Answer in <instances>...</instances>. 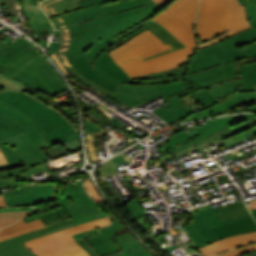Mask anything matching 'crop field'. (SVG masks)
<instances>
[{
    "label": "crop field",
    "instance_id": "1",
    "mask_svg": "<svg viewBox=\"0 0 256 256\" xmlns=\"http://www.w3.org/2000/svg\"><path fill=\"white\" fill-rule=\"evenodd\" d=\"M78 132L55 110L22 93H0V148L9 164L27 169L49 161L45 148L78 139Z\"/></svg>",
    "mask_w": 256,
    "mask_h": 256
},
{
    "label": "crop field",
    "instance_id": "2",
    "mask_svg": "<svg viewBox=\"0 0 256 256\" xmlns=\"http://www.w3.org/2000/svg\"><path fill=\"white\" fill-rule=\"evenodd\" d=\"M161 8L156 4L106 16L75 26L57 29L54 35L63 37L61 43L51 42L49 53L70 50L74 58L82 53L91 64L105 49L117 40L115 36L151 18Z\"/></svg>",
    "mask_w": 256,
    "mask_h": 256
},
{
    "label": "crop field",
    "instance_id": "3",
    "mask_svg": "<svg viewBox=\"0 0 256 256\" xmlns=\"http://www.w3.org/2000/svg\"><path fill=\"white\" fill-rule=\"evenodd\" d=\"M0 73L53 97L69 89L37 49L21 37L0 50Z\"/></svg>",
    "mask_w": 256,
    "mask_h": 256
},
{
    "label": "crop field",
    "instance_id": "4",
    "mask_svg": "<svg viewBox=\"0 0 256 256\" xmlns=\"http://www.w3.org/2000/svg\"><path fill=\"white\" fill-rule=\"evenodd\" d=\"M59 201L72 219L0 242V256H37L22 242L106 216L87 195L81 181L67 184Z\"/></svg>",
    "mask_w": 256,
    "mask_h": 256
},
{
    "label": "crop field",
    "instance_id": "5",
    "mask_svg": "<svg viewBox=\"0 0 256 256\" xmlns=\"http://www.w3.org/2000/svg\"><path fill=\"white\" fill-rule=\"evenodd\" d=\"M250 27L245 7L238 0H202L196 23L198 49Z\"/></svg>",
    "mask_w": 256,
    "mask_h": 256
},
{
    "label": "crop field",
    "instance_id": "6",
    "mask_svg": "<svg viewBox=\"0 0 256 256\" xmlns=\"http://www.w3.org/2000/svg\"><path fill=\"white\" fill-rule=\"evenodd\" d=\"M147 29L151 31L155 36H157L161 41H163L157 34H155L150 28L142 23L141 25L115 37V39L119 40L120 42L101 53L91 64V66L84 58L83 54L78 58L74 59L69 51L66 52L67 59L80 74L86 76L98 85L114 91L115 88L122 82L132 84V81L128 78L127 74L121 68H119L117 64L107 55V53ZM163 42L166 44L165 41ZM49 56L52 58L53 62L60 68V70L66 75L67 71L60 63L57 53L49 54Z\"/></svg>",
    "mask_w": 256,
    "mask_h": 256
},
{
    "label": "crop field",
    "instance_id": "7",
    "mask_svg": "<svg viewBox=\"0 0 256 256\" xmlns=\"http://www.w3.org/2000/svg\"><path fill=\"white\" fill-rule=\"evenodd\" d=\"M154 19L168 29L186 47L143 62L138 58L127 63L120 64L130 77L141 76L178 67L188 59L196 47L195 35L167 12L164 10L161 11L154 17Z\"/></svg>",
    "mask_w": 256,
    "mask_h": 256
},
{
    "label": "crop field",
    "instance_id": "8",
    "mask_svg": "<svg viewBox=\"0 0 256 256\" xmlns=\"http://www.w3.org/2000/svg\"><path fill=\"white\" fill-rule=\"evenodd\" d=\"M249 57H256V28L196 51L186 74Z\"/></svg>",
    "mask_w": 256,
    "mask_h": 256
},
{
    "label": "crop field",
    "instance_id": "9",
    "mask_svg": "<svg viewBox=\"0 0 256 256\" xmlns=\"http://www.w3.org/2000/svg\"><path fill=\"white\" fill-rule=\"evenodd\" d=\"M108 216L24 244L38 256H90L71 235L110 225Z\"/></svg>",
    "mask_w": 256,
    "mask_h": 256
},
{
    "label": "crop field",
    "instance_id": "10",
    "mask_svg": "<svg viewBox=\"0 0 256 256\" xmlns=\"http://www.w3.org/2000/svg\"><path fill=\"white\" fill-rule=\"evenodd\" d=\"M133 84H157L160 93L169 102L152 111L169 125L192 112L191 93L182 79H161L156 81H134ZM182 99V100H180Z\"/></svg>",
    "mask_w": 256,
    "mask_h": 256
},
{
    "label": "crop field",
    "instance_id": "11",
    "mask_svg": "<svg viewBox=\"0 0 256 256\" xmlns=\"http://www.w3.org/2000/svg\"><path fill=\"white\" fill-rule=\"evenodd\" d=\"M61 63L67 69L69 75L74 74L78 79L85 82V84L89 85L90 87H96L101 91L109 94L111 98L126 104L127 106L133 108L153 97L160 95L156 85H131L122 83L120 86L116 88L114 92L100 87L94 82L88 80L87 78L81 76L67 61L65 53L59 54Z\"/></svg>",
    "mask_w": 256,
    "mask_h": 256
},
{
    "label": "crop field",
    "instance_id": "12",
    "mask_svg": "<svg viewBox=\"0 0 256 256\" xmlns=\"http://www.w3.org/2000/svg\"><path fill=\"white\" fill-rule=\"evenodd\" d=\"M239 70L243 79L213 86L210 91H197L196 93H193L194 98L204 105L206 109L207 107L220 102L218 99L227 94L241 91H254L252 86H256V63L241 65L239 66Z\"/></svg>",
    "mask_w": 256,
    "mask_h": 256
},
{
    "label": "crop field",
    "instance_id": "13",
    "mask_svg": "<svg viewBox=\"0 0 256 256\" xmlns=\"http://www.w3.org/2000/svg\"><path fill=\"white\" fill-rule=\"evenodd\" d=\"M168 49H171L168 44H163L147 30L108 54L117 64H119L139 56L144 59Z\"/></svg>",
    "mask_w": 256,
    "mask_h": 256
},
{
    "label": "crop field",
    "instance_id": "14",
    "mask_svg": "<svg viewBox=\"0 0 256 256\" xmlns=\"http://www.w3.org/2000/svg\"><path fill=\"white\" fill-rule=\"evenodd\" d=\"M191 221L192 224H184L183 227L198 248L218 241L212 228L222 223L210 205L193 208Z\"/></svg>",
    "mask_w": 256,
    "mask_h": 256
},
{
    "label": "crop field",
    "instance_id": "15",
    "mask_svg": "<svg viewBox=\"0 0 256 256\" xmlns=\"http://www.w3.org/2000/svg\"><path fill=\"white\" fill-rule=\"evenodd\" d=\"M7 206H30L50 201L55 184H38L2 192Z\"/></svg>",
    "mask_w": 256,
    "mask_h": 256
},
{
    "label": "crop field",
    "instance_id": "16",
    "mask_svg": "<svg viewBox=\"0 0 256 256\" xmlns=\"http://www.w3.org/2000/svg\"><path fill=\"white\" fill-rule=\"evenodd\" d=\"M240 77L236 62H231L187 75V79L193 84L194 91L215 83L224 82Z\"/></svg>",
    "mask_w": 256,
    "mask_h": 256
},
{
    "label": "crop field",
    "instance_id": "17",
    "mask_svg": "<svg viewBox=\"0 0 256 256\" xmlns=\"http://www.w3.org/2000/svg\"><path fill=\"white\" fill-rule=\"evenodd\" d=\"M119 1L120 2L102 6L103 9L101 10L74 16V17L59 21V23L54 24L55 29L71 26L81 22L93 20L95 18L103 17L109 14H114V13L122 12V11L133 9V8H138L144 5L154 3L152 0H132V1L119 0Z\"/></svg>",
    "mask_w": 256,
    "mask_h": 256
},
{
    "label": "crop field",
    "instance_id": "18",
    "mask_svg": "<svg viewBox=\"0 0 256 256\" xmlns=\"http://www.w3.org/2000/svg\"><path fill=\"white\" fill-rule=\"evenodd\" d=\"M199 0H175L166 8L186 28L194 33V22L198 10Z\"/></svg>",
    "mask_w": 256,
    "mask_h": 256
},
{
    "label": "crop field",
    "instance_id": "19",
    "mask_svg": "<svg viewBox=\"0 0 256 256\" xmlns=\"http://www.w3.org/2000/svg\"><path fill=\"white\" fill-rule=\"evenodd\" d=\"M225 98L226 100L222 101L221 103L215 104L207 108L205 111L197 112L196 114H194L193 116H191L185 121L210 117L211 116L210 113L212 112L219 113L231 107L256 101L254 92L233 93L231 95L226 96ZM181 122H184V121H181Z\"/></svg>",
    "mask_w": 256,
    "mask_h": 256
},
{
    "label": "crop field",
    "instance_id": "20",
    "mask_svg": "<svg viewBox=\"0 0 256 256\" xmlns=\"http://www.w3.org/2000/svg\"><path fill=\"white\" fill-rule=\"evenodd\" d=\"M168 143L160 146L162 152L168 157L194 143H197L203 138L195 131H190L188 134L183 130L169 138H166Z\"/></svg>",
    "mask_w": 256,
    "mask_h": 256
},
{
    "label": "crop field",
    "instance_id": "21",
    "mask_svg": "<svg viewBox=\"0 0 256 256\" xmlns=\"http://www.w3.org/2000/svg\"><path fill=\"white\" fill-rule=\"evenodd\" d=\"M256 241V232L239 235L212 243L204 248L199 249L204 256H210L237 246L245 245Z\"/></svg>",
    "mask_w": 256,
    "mask_h": 256
},
{
    "label": "crop field",
    "instance_id": "22",
    "mask_svg": "<svg viewBox=\"0 0 256 256\" xmlns=\"http://www.w3.org/2000/svg\"><path fill=\"white\" fill-rule=\"evenodd\" d=\"M255 115L253 114H239V115H233L223 118L215 119L209 123H206L195 130L205 139L206 137L223 130L224 128L228 126H232L236 123L242 122L246 119H249Z\"/></svg>",
    "mask_w": 256,
    "mask_h": 256
},
{
    "label": "crop field",
    "instance_id": "23",
    "mask_svg": "<svg viewBox=\"0 0 256 256\" xmlns=\"http://www.w3.org/2000/svg\"><path fill=\"white\" fill-rule=\"evenodd\" d=\"M213 230L220 240L227 237L255 231L256 223L254 222L252 217H250V218H246L243 220H239L236 222L219 226L217 228H214Z\"/></svg>",
    "mask_w": 256,
    "mask_h": 256
},
{
    "label": "crop field",
    "instance_id": "24",
    "mask_svg": "<svg viewBox=\"0 0 256 256\" xmlns=\"http://www.w3.org/2000/svg\"><path fill=\"white\" fill-rule=\"evenodd\" d=\"M112 239L123 249L120 256H152L130 232L112 237Z\"/></svg>",
    "mask_w": 256,
    "mask_h": 256
},
{
    "label": "crop field",
    "instance_id": "25",
    "mask_svg": "<svg viewBox=\"0 0 256 256\" xmlns=\"http://www.w3.org/2000/svg\"><path fill=\"white\" fill-rule=\"evenodd\" d=\"M215 211L223 224L251 216L243 201L237 204L215 208Z\"/></svg>",
    "mask_w": 256,
    "mask_h": 256
},
{
    "label": "crop field",
    "instance_id": "26",
    "mask_svg": "<svg viewBox=\"0 0 256 256\" xmlns=\"http://www.w3.org/2000/svg\"><path fill=\"white\" fill-rule=\"evenodd\" d=\"M44 227L40 219L25 223L23 220L0 230V241Z\"/></svg>",
    "mask_w": 256,
    "mask_h": 256
},
{
    "label": "crop field",
    "instance_id": "27",
    "mask_svg": "<svg viewBox=\"0 0 256 256\" xmlns=\"http://www.w3.org/2000/svg\"><path fill=\"white\" fill-rule=\"evenodd\" d=\"M148 27H150L154 32H156L162 39H164L173 49L162 52L160 54L154 55L152 57H149L147 59L153 58L155 56L168 53L174 50H178L184 45L176 38L174 37L168 30H166L163 26H161L158 22H156L153 18L144 22ZM146 60V59H144Z\"/></svg>",
    "mask_w": 256,
    "mask_h": 256
},
{
    "label": "crop field",
    "instance_id": "28",
    "mask_svg": "<svg viewBox=\"0 0 256 256\" xmlns=\"http://www.w3.org/2000/svg\"><path fill=\"white\" fill-rule=\"evenodd\" d=\"M77 1L80 0H63L57 3L42 6L41 8L47 17L50 18L81 9V7L76 3Z\"/></svg>",
    "mask_w": 256,
    "mask_h": 256
},
{
    "label": "crop field",
    "instance_id": "29",
    "mask_svg": "<svg viewBox=\"0 0 256 256\" xmlns=\"http://www.w3.org/2000/svg\"><path fill=\"white\" fill-rule=\"evenodd\" d=\"M40 218L42 222L46 225L57 223L66 219H69L70 217L64 212L62 208H58L55 210H51L45 213H41L35 216L26 217L23 219L25 222L35 220Z\"/></svg>",
    "mask_w": 256,
    "mask_h": 256
},
{
    "label": "crop field",
    "instance_id": "30",
    "mask_svg": "<svg viewBox=\"0 0 256 256\" xmlns=\"http://www.w3.org/2000/svg\"><path fill=\"white\" fill-rule=\"evenodd\" d=\"M109 1H113V0H83V1L78 2V4L83 9L78 10V11L73 12V13L57 16V17H54V18H50V20L54 24V23H57V21H59V20L74 16V15H78V14L98 10V9L102 8L100 4L105 3V2H109Z\"/></svg>",
    "mask_w": 256,
    "mask_h": 256
},
{
    "label": "crop field",
    "instance_id": "31",
    "mask_svg": "<svg viewBox=\"0 0 256 256\" xmlns=\"http://www.w3.org/2000/svg\"><path fill=\"white\" fill-rule=\"evenodd\" d=\"M26 170L25 167L12 170L9 172H1L0 173V188H9L12 186L19 185L18 180L16 178V174Z\"/></svg>",
    "mask_w": 256,
    "mask_h": 256
},
{
    "label": "crop field",
    "instance_id": "32",
    "mask_svg": "<svg viewBox=\"0 0 256 256\" xmlns=\"http://www.w3.org/2000/svg\"><path fill=\"white\" fill-rule=\"evenodd\" d=\"M32 212H5L0 213V228L6 227L23 217L31 214Z\"/></svg>",
    "mask_w": 256,
    "mask_h": 256
},
{
    "label": "crop field",
    "instance_id": "33",
    "mask_svg": "<svg viewBox=\"0 0 256 256\" xmlns=\"http://www.w3.org/2000/svg\"><path fill=\"white\" fill-rule=\"evenodd\" d=\"M27 86L23 85L22 83L10 79L3 74H0V92L8 91V90H16L19 91Z\"/></svg>",
    "mask_w": 256,
    "mask_h": 256
},
{
    "label": "crop field",
    "instance_id": "34",
    "mask_svg": "<svg viewBox=\"0 0 256 256\" xmlns=\"http://www.w3.org/2000/svg\"><path fill=\"white\" fill-rule=\"evenodd\" d=\"M242 4H245L247 14L252 27H256V0H239Z\"/></svg>",
    "mask_w": 256,
    "mask_h": 256
},
{
    "label": "crop field",
    "instance_id": "35",
    "mask_svg": "<svg viewBox=\"0 0 256 256\" xmlns=\"http://www.w3.org/2000/svg\"><path fill=\"white\" fill-rule=\"evenodd\" d=\"M256 250V242L250 245L240 247L234 250H230L221 254H217L215 256H241Z\"/></svg>",
    "mask_w": 256,
    "mask_h": 256
},
{
    "label": "crop field",
    "instance_id": "36",
    "mask_svg": "<svg viewBox=\"0 0 256 256\" xmlns=\"http://www.w3.org/2000/svg\"><path fill=\"white\" fill-rule=\"evenodd\" d=\"M120 164H115L111 160L102 163L100 166V170L98 172L101 176H111V175H118L117 170Z\"/></svg>",
    "mask_w": 256,
    "mask_h": 256
},
{
    "label": "crop field",
    "instance_id": "37",
    "mask_svg": "<svg viewBox=\"0 0 256 256\" xmlns=\"http://www.w3.org/2000/svg\"><path fill=\"white\" fill-rule=\"evenodd\" d=\"M85 186L87 193L94 199V201L98 204L105 203V200L97 191L95 185L92 181H84L82 182Z\"/></svg>",
    "mask_w": 256,
    "mask_h": 256
},
{
    "label": "crop field",
    "instance_id": "38",
    "mask_svg": "<svg viewBox=\"0 0 256 256\" xmlns=\"http://www.w3.org/2000/svg\"><path fill=\"white\" fill-rule=\"evenodd\" d=\"M85 124H86V135L90 134L93 138H95V136H97L100 133L101 129H99L97 126H95L86 118H85Z\"/></svg>",
    "mask_w": 256,
    "mask_h": 256
},
{
    "label": "crop field",
    "instance_id": "39",
    "mask_svg": "<svg viewBox=\"0 0 256 256\" xmlns=\"http://www.w3.org/2000/svg\"><path fill=\"white\" fill-rule=\"evenodd\" d=\"M60 144L68 151V153L80 148L79 139L68 143L62 142Z\"/></svg>",
    "mask_w": 256,
    "mask_h": 256
},
{
    "label": "crop field",
    "instance_id": "40",
    "mask_svg": "<svg viewBox=\"0 0 256 256\" xmlns=\"http://www.w3.org/2000/svg\"><path fill=\"white\" fill-rule=\"evenodd\" d=\"M78 243L81 244L90 253L91 256H99L94 251V249L84 239L78 240ZM109 256H119V255H118V253H116V254L109 255Z\"/></svg>",
    "mask_w": 256,
    "mask_h": 256
},
{
    "label": "crop field",
    "instance_id": "41",
    "mask_svg": "<svg viewBox=\"0 0 256 256\" xmlns=\"http://www.w3.org/2000/svg\"><path fill=\"white\" fill-rule=\"evenodd\" d=\"M185 68L184 66H180L178 68H175V69H172L173 72H174V76L175 77H178V78H184V71H185Z\"/></svg>",
    "mask_w": 256,
    "mask_h": 256
},
{
    "label": "crop field",
    "instance_id": "42",
    "mask_svg": "<svg viewBox=\"0 0 256 256\" xmlns=\"http://www.w3.org/2000/svg\"><path fill=\"white\" fill-rule=\"evenodd\" d=\"M155 1L161 8L164 7L166 4H170L173 0H153Z\"/></svg>",
    "mask_w": 256,
    "mask_h": 256
},
{
    "label": "crop field",
    "instance_id": "43",
    "mask_svg": "<svg viewBox=\"0 0 256 256\" xmlns=\"http://www.w3.org/2000/svg\"><path fill=\"white\" fill-rule=\"evenodd\" d=\"M242 111H253V112H256V105L255 106H251V107H247V108L235 111V112H242ZM232 113H234V112H232Z\"/></svg>",
    "mask_w": 256,
    "mask_h": 256
},
{
    "label": "crop field",
    "instance_id": "44",
    "mask_svg": "<svg viewBox=\"0 0 256 256\" xmlns=\"http://www.w3.org/2000/svg\"><path fill=\"white\" fill-rule=\"evenodd\" d=\"M253 61H256V58H250V59H245V60H239V61H237V64L248 63V62H253Z\"/></svg>",
    "mask_w": 256,
    "mask_h": 256
},
{
    "label": "crop field",
    "instance_id": "45",
    "mask_svg": "<svg viewBox=\"0 0 256 256\" xmlns=\"http://www.w3.org/2000/svg\"><path fill=\"white\" fill-rule=\"evenodd\" d=\"M5 163H7V161H6V159H5L4 155H3V153L0 152V164H5Z\"/></svg>",
    "mask_w": 256,
    "mask_h": 256
},
{
    "label": "crop field",
    "instance_id": "46",
    "mask_svg": "<svg viewBox=\"0 0 256 256\" xmlns=\"http://www.w3.org/2000/svg\"><path fill=\"white\" fill-rule=\"evenodd\" d=\"M250 203H251V205H248V208H249V209L256 208V200L250 201Z\"/></svg>",
    "mask_w": 256,
    "mask_h": 256
},
{
    "label": "crop field",
    "instance_id": "47",
    "mask_svg": "<svg viewBox=\"0 0 256 256\" xmlns=\"http://www.w3.org/2000/svg\"><path fill=\"white\" fill-rule=\"evenodd\" d=\"M56 1H60V0H47V1L41 2L40 6L48 4V3L56 2Z\"/></svg>",
    "mask_w": 256,
    "mask_h": 256
},
{
    "label": "crop field",
    "instance_id": "48",
    "mask_svg": "<svg viewBox=\"0 0 256 256\" xmlns=\"http://www.w3.org/2000/svg\"><path fill=\"white\" fill-rule=\"evenodd\" d=\"M2 206H6V204L3 200L2 194H0V207H2Z\"/></svg>",
    "mask_w": 256,
    "mask_h": 256
},
{
    "label": "crop field",
    "instance_id": "49",
    "mask_svg": "<svg viewBox=\"0 0 256 256\" xmlns=\"http://www.w3.org/2000/svg\"><path fill=\"white\" fill-rule=\"evenodd\" d=\"M6 27H7V26H6ZM6 27L0 29V34L8 29V28H6ZM3 47H5V46L0 43V49L3 48Z\"/></svg>",
    "mask_w": 256,
    "mask_h": 256
},
{
    "label": "crop field",
    "instance_id": "50",
    "mask_svg": "<svg viewBox=\"0 0 256 256\" xmlns=\"http://www.w3.org/2000/svg\"><path fill=\"white\" fill-rule=\"evenodd\" d=\"M250 212L252 213L254 219L256 220V209L250 210Z\"/></svg>",
    "mask_w": 256,
    "mask_h": 256
},
{
    "label": "crop field",
    "instance_id": "51",
    "mask_svg": "<svg viewBox=\"0 0 256 256\" xmlns=\"http://www.w3.org/2000/svg\"><path fill=\"white\" fill-rule=\"evenodd\" d=\"M244 256H256V251H255V252H253V253H250V254L244 255Z\"/></svg>",
    "mask_w": 256,
    "mask_h": 256
},
{
    "label": "crop field",
    "instance_id": "52",
    "mask_svg": "<svg viewBox=\"0 0 256 256\" xmlns=\"http://www.w3.org/2000/svg\"><path fill=\"white\" fill-rule=\"evenodd\" d=\"M107 213L109 214V216L112 218V221H114L115 220V218L110 214V212L109 211H107Z\"/></svg>",
    "mask_w": 256,
    "mask_h": 256
},
{
    "label": "crop field",
    "instance_id": "53",
    "mask_svg": "<svg viewBox=\"0 0 256 256\" xmlns=\"http://www.w3.org/2000/svg\"><path fill=\"white\" fill-rule=\"evenodd\" d=\"M254 90H255V94H256V87H254Z\"/></svg>",
    "mask_w": 256,
    "mask_h": 256
},
{
    "label": "crop field",
    "instance_id": "54",
    "mask_svg": "<svg viewBox=\"0 0 256 256\" xmlns=\"http://www.w3.org/2000/svg\"><path fill=\"white\" fill-rule=\"evenodd\" d=\"M1 151V150H0Z\"/></svg>",
    "mask_w": 256,
    "mask_h": 256
}]
</instances>
